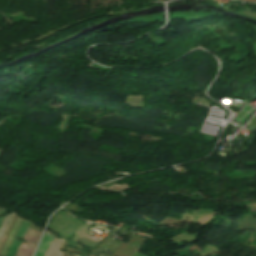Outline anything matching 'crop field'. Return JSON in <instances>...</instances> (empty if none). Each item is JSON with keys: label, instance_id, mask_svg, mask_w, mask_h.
I'll return each mask as SVG.
<instances>
[{"label": "crop field", "instance_id": "ac0d7876", "mask_svg": "<svg viewBox=\"0 0 256 256\" xmlns=\"http://www.w3.org/2000/svg\"><path fill=\"white\" fill-rule=\"evenodd\" d=\"M64 242V239H56L54 238L51 246L49 247L48 251L46 252L45 256H63L59 249Z\"/></svg>", "mask_w": 256, "mask_h": 256}, {"label": "crop field", "instance_id": "f4fd0767", "mask_svg": "<svg viewBox=\"0 0 256 256\" xmlns=\"http://www.w3.org/2000/svg\"><path fill=\"white\" fill-rule=\"evenodd\" d=\"M248 1H256V0H248Z\"/></svg>", "mask_w": 256, "mask_h": 256}, {"label": "crop field", "instance_id": "8a807250", "mask_svg": "<svg viewBox=\"0 0 256 256\" xmlns=\"http://www.w3.org/2000/svg\"><path fill=\"white\" fill-rule=\"evenodd\" d=\"M40 236L41 232L28 228L24 235V240L28 243L22 242L15 256H31Z\"/></svg>", "mask_w": 256, "mask_h": 256}, {"label": "crop field", "instance_id": "412701ff", "mask_svg": "<svg viewBox=\"0 0 256 256\" xmlns=\"http://www.w3.org/2000/svg\"><path fill=\"white\" fill-rule=\"evenodd\" d=\"M16 213H12L9 216H7L2 224V226L0 227V245L5 237V234L13 220V218L15 217Z\"/></svg>", "mask_w": 256, "mask_h": 256}, {"label": "crop field", "instance_id": "dd49c442", "mask_svg": "<svg viewBox=\"0 0 256 256\" xmlns=\"http://www.w3.org/2000/svg\"><path fill=\"white\" fill-rule=\"evenodd\" d=\"M77 255H78V254H77ZM77 255H76V256H77ZM80 255H83V254H80Z\"/></svg>", "mask_w": 256, "mask_h": 256}, {"label": "crop field", "instance_id": "34b2d1b8", "mask_svg": "<svg viewBox=\"0 0 256 256\" xmlns=\"http://www.w3.org/2000/svg\"><path fill=\"white\" fill-rule=\"evenodd\" d=\"M53 236L50 234V233H45V236L42 240V243L38 249V252L36 254V256H44L45 252L47 251L50 243L52 242L53 240Z\"/></svg>", "mask_w": 256, "mask_h": 256}]
</instances>
